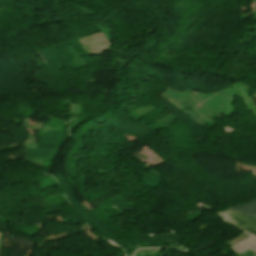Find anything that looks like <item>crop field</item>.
Returning a JSON list of instances; mask_svg holds the SVG:
<instances>
[{"label":"crop field","instance_id":"obj_1","mask_svg":"<svg viewBox=\"0 0 256 256\" xmlns=\"http://www.w3.org/2000/svg\"><path fill=\"white\" fill-rule=\"evenodd\" d=\"M220 215L229 223L256 236V218H252L230 210Z\"/></svg>","mask_w":256,"mask_h":256},{"label":"crop field","instance_id":"obj_2","mask_svg":"<svg viewBox=\"0 0 256 256\" xmlns=\"http://www.w3.org/2000/svg\"><path fill=\"white\" fill-rule=\"evenodd\" d=\"M230 210L256 217V201L239 205L237 207L231 208Z\"/></svg>","mask_w":256,"mask_h":256}]
</instances>
